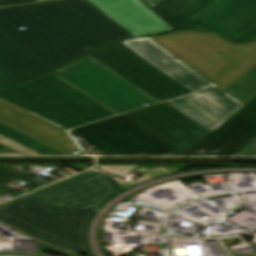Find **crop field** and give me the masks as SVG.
I'll return each mask as SVG.
<instances>
[{
  "label": "crop field",
  "instance_id": "crop-field-1",
  "mask_svg": "<svg viewBox=\"0 0 256 256\" xmlns=\"http://www.w3.org/2000/svg\"><path fill=\"white\" fill-rule=\"evenodd\" d=\"M24 30H17L18 27ZM0 30L53 70L131 33L87 0L0 8Z\"/></svg>",
  "mask_w": 256,
  "mask_h": 256
},
{
  "label": "crop field",
  "instance_id": "crop-field-2",
  "mask_svg": "<svg viewBox=\"0 0 256 256\" xmlns=\"http://www.w3.org/2000/svg\"><path fill=\"white\" fill-rule=\"evenodd\" d=\"M149 38L223 90L256 65V41L235 45L214 33L192 31Z\"/></svg>",
  "mask_w": 256,
  "mask_h": 256
},
{
  "label": "crop field",
  "instance_id": "crop-field-3",
  "mask_svg": "<svg viewBox=\"0 0 256 256\" xmlns=\"http://www.w3.org/2000/svg\"><path fill=\"white\" fill-rule=\"evenodd\" d=\"M122 42L194 92L167 102L209 130L215 129L244 106L148 37ZM205 85L211 88L206 89Z\"/></svg>",
  "mask_w": 256,
  "mask_h": 256
},
{
  "label": "crop field",
  "instance_id": "crop-field-4",
  "mask_svg": "<svg viewBox=\"0 0 256 256\" xmlns=\"http://www.w3.org/2000/svg\"><path fill=\"white\" fill-rule=\"evenodd\" d=\"M92 205L55 210L29 193L0 205V221L71 253H90L87 229Z\"/></svg>",
  "mask_w": 256,
  "mask_h": 256
},
{
  "label": "crop field",
  "instance_id": "crop-field-5",
  "mask_svg": "<svg viewBox=\"0 0 256 256\" xmlns=\"http://www.w3.org/2000/svg\"><path fill=\"white\" fill-rule=\"evenodd\" d=\"M0 97L66 129L117 115L53 74L26 86H0Z\"/></svg>",
  "mask_w": 256,
  "mask_h": 256
},
{
  "label": "crop field",
  "instance_id": "crop-field-6",
  "mask_svg": "<svg viewBox=\"0 0 256 256\" xmlns=\"http://www.w3.org/2000/svg\"><path fill=\"white\" fill-rule=\"evenodd\" d=\"M152 8L176 29L217 31L234 42L256 38V0H163Z\"/></svg>",
  "mask_w": 256,
  "mask_h": 256
},
{
  "label": "crop field",
  "instance_id": "crop-field-7",
  "mask_svg": "<svg viewBox=\"0 0 256 256\" xmlns=\"http://www.w3.org/2000/svg\"><path fill=\"white\" fill-rule=\"evenodd\" d=\"M53 74L118 114L158 103L89 56Z\"/></svg>",
  "mask_w": 256,
  "mask_h": 256
},
{
  "label": "crop field",
  "instance_id": "crop-field-8",
  "mask_svg": "<svg viewBox=\"0 0 256 256\" xmlns=\"http://www.w3.org/2000/svg\"><path fill=\"white\" fill-rule=\"evenodd\" d=\"M70 132L106 155L162 156L174 149L124 114Z\"/></svg>",
  "mask_w": 256,
  "mask_h": 256
},
{
  "label": "crop field",
  "instance_id": "crop-field-9",
  "mask_svg": "<svg viewBox=\"0 0 256 256\" xmlns=\"http://www.w3.org/2000/svg\"><path fill=\"white\" fill-rule=\"evenodd\" d=\"M89 56L159 102L190 93L121 42Z\"/></svg>",
  "mask_w": 256,
  "mask_h": 256
},
{
  "label": "crop field",
  "instance_id": "crop-field-10",
  "mask_svg": "<svg viewBox=\"0 0 256 256\" xmlns=\"http://www.w3.org/2000/svg\"><path fill=\"white\" fill-rule=\"evenodd\" d=\"M169 104H156L126 115L176 148L164 156H180L211 131Z\"/></svg>",
  "mask_w": 256,
  "mask_h": 256
},
{
  "label": "crop field",
  "instance_id": "crop-field-11",
  "mask_svg": "<svg viewBox=\"0 0 256 256\" xmlns=\"http://www.w3.org/2000/svg\"><path fill=\"white\" fill-rule=\"evenodd\" d=\"M256 137V119L235 114L181 156H231Z\"/></svg>",
  "mask_w": 256,
  "mask_h": 256
},
{
  "label": "crop field",
  "instance_id": "crop-field-12",
  "mask_svg": "<svg viewBox=\"0 0 256 256\" xmlns=\"http://www.w3.org/2000/svg\"><path fill=\"white\" fill-rule=\"evenodd\" d=\"M135 36L173 30L140 0H89Z\"/></svg>",
  "mask_w": 256,
  "mask_h": 256
},
{
  "label": "crop field",
  "instance_id": "crop-field-13",
  "mask_svg": "<svg viewBox=\"0 0 256 256\" xmlns=\"http://www.w3.org/2000/svg\"><path fill=\"white\" fill-rule=\"evenodd\" d=\"M52 71L0 31V83L21 84Z\"/></svg>",
  "mask_w": 256,
  "mask_h": 256
},
{
  "label": "crop field",
  "instance_id": "crop-field-14",
  "mask_svg": "<svg viewBox=\"0 0 256 256\" xmlns=\"http://www.w3.org/2000/svg\"><path fill=\"white\" fill-rule=\"evenodd\" d=\"M70 178L93 194L102 205L110 200L109 196L116 194L115 188L99 172L89 170Z\"/></svg>",
  "mask_w": 256,
  "mask_h": 256
},
{
  "label": "crop field",
  "instance_id": "crop-field-15",
  "mask_svg": "<svg viewBox=\"0 0 256 256\" xmlns=\"http://www.w3.org/2000/svg\"><path fill=\"white\" fill-rule=\"evenodd\" d=\"M51 186L78 206L93 204L95 211L102 207L94 196L69 178Z\"/></svg>",
  "mask_w": 256,
  "mask_h": 256
},
{
  "label": "crop field",
  "instance_id": "crop-field-16",
  "mask_svg": "<svg viewBox=\"0 0 256 256\" xmlns=\"http://www.w3.org/2000/svg\"><path fill=\"white\" fill-rule=\"evenodd\" d=\"M224 91L244 105L252 100L256 96V66Z\"/></svg>",
  "mask_w": 256,
  "mask_h": 256
},
{
  "label": "crop field",
  "instance_id": "crop-field-17",
  "mask_svg": "<svg viewBox=\"0 0 256 256\" xmlns=\"http://www.w3.org/2000/svg\"><path fill=\"white\" fill-rule=\"evenodd\" d=\"M0 135L29 147L43 155H64L0 123Z\"/></svg>",
  "mask_w": 256,
  "mask_h": 256
},
{
  "label": "crop field",
  "instance_id": "crop-field-18",
  "mask_svg": "<svg viewBox=\"0 0 256 256\" xmlns=\"http://www.w3.org/2000/svg\"><path fill=\"white\" fill-rule=\"evenodd\" d=\"M19 178L31 183L30 185H28L29 187H31L33 185H35L37 187L45 185L37 180H34L26 175H23L17 171H14L6 166H0V195L7 193V192H10L16 196L23 195L19 191L5 185V184L15 181Z\"/></svg>",
  "mask_w": 256,
  "mask_h": 256
},
{
  "label": "crop field",
  "instance_id": "crop-field-19",
  "mask_svg": "<svg viewBox=\"0 0 256 256\" xmlns=\"http://www.w3.org/2000/svg\"><path fill=\"white\" fill-rule=\"evenodd\" d=\"M35 196L40 198L42 201L52 206L55 209L74 207L76 206L70 200L65 198L63 195L58 193L52 187L48 186L43 189L32 192Z\"/></svg>",
  "mask_w": 256,
  "mask_h": 256
},
{
  "label": "crop field",
  "instance_id": "crop-field-20",
  "mask_svg": "<svg viewBox=\"0 0 256 256\" xmlns=\"http://www.w3.org/2000/svg\"><path fill=\"white\" fill-rule=\"evenodd\" d=\"M0 143L18 151V152H20L24 155H40V154L22 146V145H20L16 142H13V141H11V140L3 137V136H0Z\"/></svg>",
  "mask_w": 256,
  "mask_h": 256
},
{
  "label": "crop field",
  "instance_id": "crop-field-21",
  "mask_svg": "<svg viewBox=\"0 0 256 256\" xmlns=\"http://www.w3.org/2000/svg\"><path fill=\"white\" fill-rule=\"evenodd\" d=\"M232 156H256V138Z\"/></svg>",
  "mask_w": 256,
  "mask_h": 256
},
{
  "label": "crop field",
  "instance_id": "crop-field-22",
  "mask_svg": "<svg viewBox=\"0 0 256 256\" xmlns=\"http://www.w3.org/2000/svg\"><path fill=\"white\" fill-rule=\"evenodd\" d=\"M237 114L256 118V97L239 110Z\"/></svg>",
  "mask_w": 256,
  "mask_h": 256
},
{
  "label": "crop field",
  "instance_id": "crop-field-23",
  "mask_svg": "<svg viewBox=\"0 0 256 256\" xmlns=\"http://www.w3.org/2000/svg\"><path fill=\"white\" fill-rule=\"evenodd\" d=\"M75 136V135H74ZM76 137V136H75ZM77 141L80 143V145L83 147V149L86 151V153L88 155H104L103 153H101L100 151L88 146L87 144H85L83 141H81L79 138H77Z\"/></svg>",
  "mask_w": 256,
  "mask_h": 256
},
{
  "label": "crop field",
  "instance_id": "crop-field-24",
  "mask_svg": "<svg viewBox=\"0 0 256 256\" xmlns=\"http://www.w3.org/2000/svg\"><path fill=\"white\" fill-rule=\"evenodd\" d=\"M38 0H0V6L27 3V2H35Z\"/></svg>",
  "mask_w": 256,
  "mask_h": 256
},
{
  "label": "crop field",
  "instance_id": "crop-field-25",
  "mask_svg": "<svg viewBox=\"0 0 256 256\" xmlns=\"http://www.w3.org/2000/svg\"><path fill=\"white\" fill-rule=\"evenodd\" d=\"M0 153H17V152L0 144Z\"/></svg>",
  "mask_w": 256,
  "mask_h": 256
},
{
  "label": "crop field",
  "instance_id": "crop-field-26",
  "mask_svg": "<svg viewBox=\"0 0 256 256\" xmlns=\"http://www.w3.org/2000/svg\"><path fill=\"white\" fill-rule=\"evenodd\" d=\"M147 4H149L151 7L155 4L159 3L162 0H144Z\"/></svg>",
  "mask_w": 256,
  "mask_h": 256
},
{
  "label": "crop field",
  "instance_id": "crop-field-27",
  "mask_svg": "<svg viewBox=\"0 0 256 256\" xmlns=\"http://www.w3.org/2000/svg\"><path fill=\"white\" fill-rule=\"evenodd\" d=\"M72 167H74V168H76V169H78V170H80V171H83V170H85V169L90 168L89 166H72Z\"/></svg>",
  "mask_w": 256,
  "mask_h": 256
}]
</instances>
